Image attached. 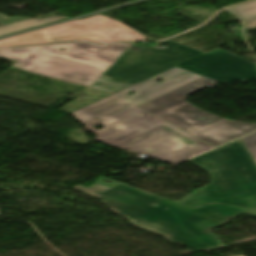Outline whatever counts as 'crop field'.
Returning a JSON list of instances; mask_svg holds the SVG:
<instances>
[{
  "label": "crop field",
  "instance_id": "9",
  "mask_svg": "<svg viewBox=\"0 0 256 256\" xmlns=\"http://www.w3.org/2000/svg\"><path fill=\"white\" fill-rule=\"evenodd\" d=\"M241 140L256 161V133L244 137Z\"/></svg>",
  "mask_w": 256,
  "mask_h": 256
},
{
  "label": "crop field",
  "instance_id": "4",
  "mask_svg": "<svg viewBox=\"0 0 256 256\" xmlns=\"http://www.w3.org/2000/svg\"><path fill=\"white\" fill-rule=\"evenodd\" d=\"M189 161L207 171L211 179L181 203L191 207L207 203L256 207V164L239 140Z\"/></svg>",
  "mask_w": 256,
  "mask_h": 256
},
{
  "label": "crop field",
  "instance_id": "5",
  "mask_svg": "<svg viewBox=\"0 0 256 256\" xmlns=\"http://www.w3.org/2000/svg\"><path fill=\"white\" fill-rule=\"evenodd\" d=\"M215 83L202 77L138 107L214 147L256 130V124L228 121L186 102L190 94Z\"/></svg>",
  "mask_w": 256,
  "mask_h": 256
},
{
  "label": "crop field",
  "instance_id": "6",
  "mask_svg": "<svg viewBox=\"0 0 256 256\" xmlns=\"http://www.w3.org/2000/svg\"><path fill=\"white\" fill-rule=\"evenodd\" d=\"M138 36L142 35L125 24L98 15L0 40V47L79 39L102 42L129 41L138 40L135 38Z\"/></svg>",
  "mask_w": 256,
  "mask_h": 256
},
{
  "label": "crop field",
  "instance_id": "2",
  "mask_svg": "<svg viewBox=\"0 0 256 256\" xmlns=\"http://www.w3.org/2000/svg\"><path fill=\"white\" fill-rule=\"evenodd\" d=\"M200 77L174 67L72 114L96 134V141L177 164L213 147L135 106ZM156 78L164 81L154 82ZM130 91L136 93L129 96L126 93ZM96 117L100 118L94 120ZM99 124L106 128L99 131L91 128Z\"/></svg>",
  "mask_w": 256,
  "mask_h": 256
},
{
  "label": "crop field",
  "instance_id": "7",
  "mask_svg": "<svg viewBox=\"0 0 256 256\" xmlns=\"http://www.w3.org/2000/svg\"><path fill=\"white\" fill-rule=\"evenodd\" d=\"M67 17H61L53 15L44 19L41 18H24V17H12L0 14V36L11 34L17 31L28 29L41 24L65 19Z\"/></svg>",
  "mask_w": 256,
  "mask_h": 256
},
{
  "label": "crop field",
  "instance_id": "8",
  "mask_svg": "<svg viewBox=\"0 0 256 256\" xmlns=\"http://www.w3.org/2000/svg\"><path fill=\"white\" fill-rule=\"evenodd\" d=\"M243 19L244 31L256 28V1L228 8Z\"/></svg>",
  "mask_w": 256,
  "mask_h": 256
},
{
  "label": "crop field",
  "instance_id": "3",
  "mask_svg": "<svg viewBox=\"0 0 256 256\" xmlns=\"http://www.w3.org/2000/svg\"><path fill=\"white\" fill-rule=\"evenodd\" d=\"M102 179L107 178L100 176L88 188L78 185L72 189L101 200L111 211L137 227L197 251L223 245L211 233L215 227L229 223L242 213L256 216V208L219 204L191 208L113 180L114 184L105 183Z\"/></svg>",
  "mask_w": 256,
  "mask_h": 256
},
{
  "label": "crop field",
  "instance_id": "1",
  "mask_svg": "<svg viewBox=\"0 0 256 256\" xmlns=\"http://www.w3.org/2000/svg\"><path fill=\"white\" fill-rule=\"evenodd\" d=\"M158 49L133 44L74 43L0 51L13 66L90 87L101 75L110 82L135 85L174 66L228 84L256 78V64L221 49L208 54L173 42ZM65 49L66 51H60Z\"/></svg>",
  "mask_w": 256,
  "mask_h": 256
}]
</instances>
